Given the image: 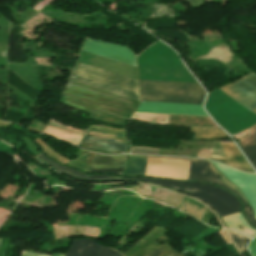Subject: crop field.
<instances>
[{
	"mask_svg": "<svg viewBox=\"0 0 256 256\" xmlns=\"http://www.w3.org/2000/svg\"><path fill=\"white\" fill-rule=\"evenodd\" d=\"M126 180L150 182L197 197L211 206L219 216L239 211L241 209L240 202L237 197L215 186L194 182L157 180L147 178H133Z\"/></svg>",
	"mask_w": 256,
	"mask_h": 256,
	"instance_id": "crop-field-1",
	"label": "crop field"
},
{
	"mask_svg": "<svg viewBox=\"0 0 256 256\" xmlns=\"http://www.w3.org/2000/svg\"><path fill=\"white\" fill-rule=\"evenodd\" d=\"M141 101L201 104L199 84L139 80Z\"/></svg>",
	"mask_w": 256,
	"mask_h": 256,
	"instance_id": "crop-field-2",
	"label": "crop field"
},
{
	"mask_svg": "<svg viewBox=\"0 0 256 256\" xmlns=\"http://www.w3.org/2000/svg\"><path fill=\"white\" fill-rule=\"evenodd\" d=\"M63 93L129 113H133L138 104V101L85 86L70 80L68 81Z\"/></svg>",
	"mask_w": 256,
	"mask_h": 256,
	"instance_id": "crop-field-3",
	"label": "crop field"
},
{
	"mask_svg": "<svg viewBox=\"0 0 256 256\" xmlns=\"http://www.w3.org/2000/svg\"><path fill=\"white\" fill-rule=\"evenodd\" d=\"M221 89L236 102L256 114V75L254 73H249Z\"/></svg>",
	"mask_w": 256,
	"mask_h": 256,
	"instance_id": "crop-field-4",
	"label": "crop field"
},
{
	"mask_svg": "<svg viewBox=\"0 0 256 256\" xmlns=\"http://www.w3.org/2000/svg\"><path fill=\"white\" fill-rule=\"evenodd\" d=\"M187 179L216 183L218 185H221V186L229 189L230 191L234 192L235 194H237L243 203L244 212H245L248 220L251 222V224L254 227H256V220L253 218V215H252L249 205L240 196V194L237 192V190L225 185L220 180L219 176L214 171V169L211 167L209 162L191 160Z\"/></svg>",
	"mask_w": 256,
	"mask_h": 256,
	"instance_id": "crop-field-5",
	"label": "crop field"
},
{
	"mask_svg": "<svg viewBox=\"0 0 256 256\" xmlns=\"http://www.w3.org/2000/svg\"><path fill=\"white\" fill-rule=\"evenodd\" d=\"M189 162L149 158L145 175L170 179H186Z\"/></svg>",
	"mask_w": 256,
	"mask_h": 256,
	"instance_id": "crop-field-6",
	"label": "crop field"
},
{
	"mask_svg": "<svg viewBox=\"0 0 256 256\" xmlns=\"http://www.w3.org/2000/svg\"><path fill=\"white\" fill-rule=\"evenodd\" d=\"M73 74L92 78L138 93L137 81L77 63Z\"/></svg>",
	"mask_w": 256,
	"mask_h": 256,
	"instance_id": "crop-field-7",
	"label": "crop field"
},
{
	"mask_svg": "<svg viewBox=\"0 0 256 256\" xmlns=\"http://www.w3.org/2000/svg\"><path fill=\"white\" fill-rule=\"evenodd\" d=\"M82 50L135 66L134 55L122 46L87 38Z\"/></svg>",
	"mask_w": 256,
	"mask_h": 256,
	"instance_id": "crop-field-8",
	"label": "crop field"
},
{
	"mask_svg": "<svg viewBox=\"0 0 256 256\" xmlns=\"http://www.w3.org/2000/svg\"><path fill=\"white\" fill-rule=\"evenodd\" d=\"M136 112L207 116L201 105L140 102Z\"/></svg>",
	"mask_w": 256,
	"mask_h": 256,
	"instance_id": "crop-field-9",
	"label": "crop field"
},
{
	"mask_svg": "<svg viewBox=\"0 0 256 256\" xmlns=\"http://www.w3.org/2000/svg\"><path fill=\"white\" fill-rule=\"evenodd\" d=\"M127 156L91 154L87 172L108 173L123 176Z\"/></svg>",
	"mask_w": 256,
	"mask_h": 256,
	"instance_id": "crop-field-10",
	"label": "crop field"
},
{
	"mask_svg": "<svg viewBox=\"0 0 256 256\" xmlns=\"http://www.w3.org/2000/svg\"><path fill=\"white\" fill-rule=\"evenodd\" d=\"M99 246L89 239L73 240L64 256H97ZM98 256H121V254L101 245Z\"/></svg>",
	"mask_w": 256,
	"mask_h": 256,
	"instance_id": "crop-field-11",
	"label": "crop field"
},
{
	"mask_svg": "<svg viewBox=\"0 0 256 256\" xmlns=\"http://www.w3.org/2000/svg\"><path fill=\"white\" fill-rule=\"evenodd\" d=\"M94 132V131H93ZM89 132L90 135L102 136L105 134ZM87 135L86 139L80 145L88 149H92L102 153H119L126 152L127 143L116 139H105ZM113 140L112 142H109Z\"/></svg>",
	"mask_w": 256,
	"mask_h": 256,
	"instance_id": "crop-field-12",
	"label": "crop field"
},
{
	"mask_svg": "<svg viewBox=\"0 0 256 256\" xmlns=\"http://www.w3.org/2000/svg\"><path fill=\"white\" fill-rule=\"evenodd\" d=\"M220 145L222 147V150L224 152L226 159L215 157V156H211V158L220 160L228 165H231L243 171L253 172V170L247 164V162L242 157V155L237 150V148L234 146V144L220 143Z\"/></svg>",
	"mask_w": 256,
	"mask_h": 256,
	"instance_id": "crop-field-13",
	"label": "crop field"
},
{
	"mask_svg": "<svg viewBox=\"0 0 256 256\" xmlns=\"http://www.w3.org/2000/svg\"><path fill=\"white\" fill-rule=\"evenodd\" d=\"M38 159L50 164L53 168L56 170L71 175L77 179L81 180H87V181H106V180H124L123 178H117V177H111V176H101V175H92V176H86L84 173L79 172L77 170L69 169L66 167H63L61 165L56 164L54 161L46 158L42 153L35 156Z\"/></svg>",
	"mask_w": 256,
	"mask_h": 256,
	"instance_id": "crop-field-14",
	"label": "crop field"
},
{
	"mask_svg": "<svg viewBox=\"0 0 256 256\" xmlns=\"http://www.w3.org/2000/svg\"><path fill=\"white\" fill-rule=\"evenodd\" d=\"M238 142L253 166L256 168V126L251 128L250 135L238 140Z\"/></svg>",
	"mask_w": 256,
	"mask_h": 256,
	"instance_id": "crop-field-15",
	"label": "crop field"
},
{
	"mask_svg": "<svg viewBox=\"0 0 256 256\" xmlns=\"http://www.w3.org/2000/svg\"><path fill=\"white\" fill-rule=\"evenodd\" d=\"M81 83L139 101L137 93H133V92H130V91H127V90H123V89L113 87V86H110V85H107V84H103V83H100V82H97V81H93V80H90V79H87V78H83Z\"/></svg>",
	"mask_w": 256,
	"mask_h": 256,
	"instance_id": "crop-field-16",
	"label": "crop field"
},
{
	"mask_svg": "<svg viewBox=\"0 0 256 256\" xmlns=\"http://www.w3.org/2000/svg\"><path fill=\"white\" fill-rule=\"evenodd\" d=\"M147 157L130 156L126 176L144 175Z\"/></svg>",
	"mask_w": 256,
	"mask_h": 256,
	"instance_id": "crop-field-17",
	"label": "crop field"
},
{
	"mask_svg": "<svg viewBox=\"0 0 256 256\" xmlns=\"http://www.w3.org/2000/svg\"><path fill=\"white\" fill-rule=\"evenodd\" d=\"M191 132L196 133L194 139H213L227 136L217 129L193 128Z\"/></svg>",
	"mask_w": 256,
	"mask_h": 256,
	"instance_id": "crop-field-18",
	"label": "crop field"
},
{
	"mask_svg": "<svg viewBox=\"0 0 256 256\" xmlns=\"http://www.w3.org/2000/svg\"><path fill=\"white\" fill-rule=\"evenodd\" d=\"M148 256H181V255L176 251H174L171 247H169L165 243L161 247L156 249L154 252L149 254Z\"/></svg>",
	"mask_w": 256,
	"mask_h": 256,
	"instance_id": "crop-field-19",
	"label": "crop field"
},
{
	"mask_svg": "<svg viewBox=\"0 0 256 256\" xmlns=\"http://www.w3.org/2000/svg\"><path fill=\"white\" fill-rule=\"evenodd\" d=\"M227 232L232 237V239L236 242V245H237L238 249L246 252L245 244L248 242L249 238H247L243 235H240V234H238L234 231H231V230H227Z\"/></svg>",
	"mask_w": 256,
	"mask_h": 256,
	"instance_id": "crop-field-20",
	"label": "crop field"
},
{
	"mask_svg": "<svg viewBox=\"0 0 256 256\" xmlns=\"http://www.w3.org/2000/svg\"><path fill=\"white\" fill-rule=\"evenodd\" d=\"M131 153L158 155L159 149L132 147Z\"/></svg>",
	"mask_w": 256,
	"mask_h": 256,
	"instance_id": "crop-field-21",
	"label": "crop field"
},
{
	"mask_svg": "<svg viewBox=\"0 0 256 256\" xmlns=\"http://www.w3.org/2000/svg\"><path fill=\"white\" fill-rule=\"evenodd\" d=\"M250 250L253 256H256V239H254L250 245Z\"/></svg>",
	"mask_w": 256,
	"mask_h": 256,
	"instance_id": "crop-field-22",
	"label": "crop field"
},
{
	"mask_svg": "<svg viewBox=\"0 0 256 256\" xmlns=\"http://www.w3.org/2000/svg\"><path fill=\"white\" fill-rule=\"evenodd\" d=\"M21 256H48V255H42V254H36V253H30V252H21Z\"/></svg>",
	"mask_w": 256,
	"mask_h": 256,
	"instance_id": "crop-field-23",
	"label": "crop field"
},
{
	"mask_svg": "<svg viewBox=\"0 0 256 256\" xmlns=\"http://www.w3.org/2000/svg\"><path fill=\"white\" fill-rule=\"evenodd\" d=\"M64 254L53 252L52 256H63Z\"/></svg>",
	"mask_w": 256,
	"mask_h": 256,
	"instance_id": "crop-field-24",
	"label": "crop field"
},
{
	"mask_svg": "<svg viewBox=\"0 0 256 256\" xmlns=\"http://www.w3.org/2000/svg\"><path fill=\"white\" fill-rule=\"evenodd\" d=\"M1 240V239H0Z\"/></svg>",
	"mask_w": 256,
	"mask_h": 256,
	"instance_id": "crop-field-25",
	"label": "crop field"
}]
</instances>
